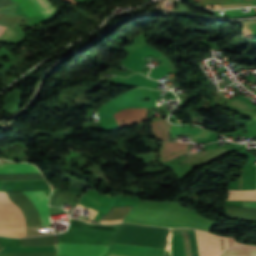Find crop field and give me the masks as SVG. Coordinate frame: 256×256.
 Listing matches in <instances>:
<instances>
[{"label": "crop field", "instance_id": "crop-field-4", "mask_svg": "<svg viewBox=\"0 0 256 256\" xmlns=\"http://www.w3.org/2000/svg\"><path fill=\"white\" fill-rule=\"evenodd\" d=\"M0 216L24 219L19 208L14 205L5 192H0ZM0 217V234L25 237V220Z\"/></svg>", "mask_w": 256, "mask_h": 256}, {"label": "crop field", "instance_id": "crop-field-5", "mask_svg": "<svg viewBox=\"0 0 256 256\" xmlns=\"http://www.w3.org/2000/svg\"><path fill=\"white\" fill-rule=\"evenodd\" d=\"M14 1L21 7V9L26 13L28 17L42 15L41 14L42 12L43 15L47 18V20L50 21L58 14V12L48 2V0H31L41 12L36 8V6L30 0H14ZM44 16L43 18L45 19Z\"/></svg>", "mask_w": 256, "mask_h": 256}, {"label": "crop field", "instance_id": "crop-field-13", "mask_svg": "<svg viewBox=\"0 0 256 256\" xmlns=\"http://www.w3.org/2000/svg\"><path fill=\"white\" fill-rule=\"evenodd\" d=\"M226 200H256V191H227Z\"/></svg>", "mask_w": 256, "mask_h": 256}, {"label": "crop field", "instance_id": "crop-field-17", "mask_svg": "<svg viewBox=\"0 0 256 256\" xmlns=\"http://www.w3.org/2000/svg\"><path fill=\"white\" fill-rule=\"evenodd\" d=\"M4 29H5V27L0 26V35H1V33L4 31Z\"/></svg>", "mask_w": 256, "mask_h": 256}, {"label": "crop field", "instance_id": "crop-field-3", "mask_svg": "<svg viewBox=\"0 0 256 256\" xmlns=\"http://www.w3.org/2000/svg\"><path fill=\"white\" fill-rule=\"evenodd\" d=\"M115 232L68 229L59 234L57 242L83 243L108 246ZM57 243V255L65 256H103L108 247Z\"/></svg>", "mask_w": 256, "mask_h": 256}, {"label": "crop field", "instance_id": "crop-field-6", "mask_svg": "<svg viewBox=\"0 0 256 256\" xmlns=\"http://www.w3.org/2000/svg\"><path fill=\"white\" fill-rule=\"evenodd\" d=\"M146 109H124L113 114L119 127L146 120Z\"/></svg>", "mask_w": 256, "mask_h": 256}, {"label": "crop field", "instance_id": "crop-field-7", "mask_svg": "<svg viewBox=\"0 0 256 256\" xmlns=\"http://www.w3.org/2000/svg\"><path fill=\"white\" fill-rule=\"evenodd\" d=\"M188 145L185 143H164L160 148L162 163L183 153L189 152Z\"/></svg>", "mask_w": 256, "mask_h": 256}, {"label": "crop field", "instance_id": "crop-field-1", "mask_svg": "<svg viewBox=\"0 0 256 256\" xmlns=\"http://www.w3.org/2000/svg\"><path fill=\"white\" fill-rule=\"evenodd\" d=\"M39 172L38 169L30 164H14L0 166V174L11 173H31ZM31 190H51L45 180H29V181H11L2 182L0 191H31ZM11 201L16 204L23 212L26 219V226L49 225V207L47 205L48 197L42 191L32 192H7Z\"/></svg>", "mask_w": 256, "mask_h": 256}, {"label": "crop field", "instance_id": "crop-field-16", "mask_svg": "<svg viewBox=\"0 0 256 256\" xmlns=\"http://www.w3.org/2000/svg\"><path fill=\"white\" fill-rule=\"evenodd\" d=\"M243 207L256 208V202H243Z\"/></svg>", "mask_w": 256, "mask_h": 256}, {"label": "crop field", "instance_id": "crop-field-11", "mask_svg": "<svg viewBox=\"0 0 256 256\" xmlns=\"http://www.w3.org/2000/svg\"><path fill=\"white\" fill-rule=\"evenodd\" d=\"M48 251H55V246L4 248L0 253L48 252Z\"/></svg>", "mask_w": 256, "mask_h": 256}, {"label": "crop field", "instance_id": "crop-field-2", "mask_svg": "<svg viewBox=\"0 0 256 256\" xmlns=\"http://www.w3.org/2000/svg\"><path fill=\"white\" fill-rule=\"evenodd\" d=\"M169 229L121 224L112 241L165 248ZM111 242L105 256H164L165 249Z\"/></svg>", "mask_w": 256, "mask_h": 256}, {"label": "crop field", "instance_id": "crop-field-12", "mask_svg": "<svg viewBox=\"0 0 256 256\" xmlns=\"http://www.w3.org/2000/svg\"><path fill=\"white\" fill-rule=\"evenodd\" d=\"M132 207L128 206H123V207H116V208H111L109 213L105 215L103 220H118V219H123L124 216L127 214V212L131 209ZM101 223H119L120 221L117 222H102Z\"/></svg>", "mask_w": 256, "mask_h": 256}, {"label": "crop field", "instance_id": "crop-field-10", "mask_svg": "<svg viewBox=\"0 0 256 256\" xmlns=\"http://www.w3.org/2000/svg\"><path fill=\"white\" fill-rule=\"evenodd\" d=\"M157 138L163 141H169V130L171 124L166 120L151 123Z\"/></svg>", "mask_w": 256, "mask_h": 256}, {"label": "crop field", "instance_id": "crop-field-8", "mask_svg": "<svg viewBox=\"0 0 256 256\" xmlns=\"http://www.w3.org/2000/svg\"><path fill=\"white\" fill-rule=\"evenodd\" d=\"M15 5L0 10V25L14 28L26 17L14 13Z\"/></svg>", "mask_w": 256, "mask_h": 256}, {"label": "crop field", "instance_id": "crop-field-15", "mask_svg": "<svg viewBox=\"0 0 256 256\" xmlns=\"http://www.w3.org/2000/svg\"><path fill=\"white\" fill-rule=\"evenodd\" d=\"M15 2L12 0H0V8L5 7L7 5L14 4Z\"/></svg>", "mask_w": 256, "mask_h": 256}, {"label": "crop field", "instance_id": "crop-field-14", "mask_svg": "<svg viewBox=\"0 0 256 256\" xmlns=\"http://www.w3.org/2000/svg\"><path fill=\"white\" fill-rule=\"evenodd\" d=\"M19 90H12L10 93L7 94V96L4 99L3 109L7 112L12 108V106L15 104L17 97L19 95Z\"/></svg>", "mask_w": 256, "mask_h": 256}, {"label": "crop field", "instance_id": "crop-field-9", "mask_svg": "<svg viewBox=\"0 0 256 256\" xmlns=\"http://www.w3.org/2000/svg\"><path fill=\"white\" fill-rule=\"evenodd\" d=\"M250 250H256V245L235 242L222 256H250ZM251 256H256V251H251Z\"/></svg>", "mask_w": 256, "mask_h": 256}]
</instances>
